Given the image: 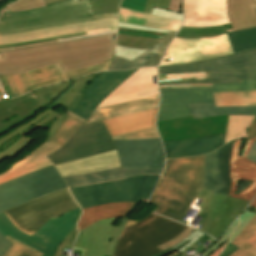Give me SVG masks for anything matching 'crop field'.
Instances as JSON below:
<instances>
[{"instance_id":"crop-field-1","label":"crop field","mask_w":256,"mask_h":256,"mask_svg":"<svg viewBox=\"0 0 256 256\" xmlns=\"http://www.w3.org/2000/svg\"><path fill=\"white\" fill-rule=\"evenodd\" d=\"M233 142L205 156L167 160L150 201L158 205L154 212L180 221L201 189L228 196Z\"/></svg>"},{"instance_id":"crop-field-2","label":"crop field","mask_w":256,"mask_h":256,"mask_svg":"<svg viewBox=\"0 0 256 256\" xmlns=\"http://www.w3.org/2000/svg\"><path fill=\"white\" fill-rule=\"evenodd\" d=\"M116 34L0 52V75L58 63L62 72L113 59Z\"/></svg>"},{"instance_id":"crop-field-3","label":"crop field","mask_w":256,"mask_h":256,"mask_svg":"<svg viewBox=\"0 0 256 256\" xmlns=\"http://www.w3.org/2000/svg\"><path fill=\"white\" fill-rule=\"evenodd\" d=\"M58 148L44 142L7 173L0 175V212L67 187L46 157Z\"/></svg>"},{"instance_id":"crop-field-4","label":"crop field","mask_w":256,"mask_h":256,"mask_svg":"<svg viewBox=\"0 0 256 256\" xmlns=\"http://www.w3.org/2000/svg\"><path fill=\"white\" fill-rule=\"evenodd\" d=\"M115 17L118 13L93 15L89 0H68L33 11L4 13L0 18V35Z\"/></svg>"},{"instance_id":"crop-field-5","label":"crop field","mask_w":256,"mask_h":256,"mask_svg":"<svg viewBox=\"0 0 256 256\" xmlns=\"http://www.w3.org/2000/svg\"><path fill=\"white\" fill-rule=\"evenodd\" d=\"M186 228L154 213L139 222L129 220L119 237L115 256H152L162 251L160 244L176 237Z\"/></svg>"},{"instance_id":"crop-field-6","label":"crop field","mask_w":256,"mask_h":256,"mask_svg":"<svg viewBox=\"0 0 256 256\" xmlns=\"http://www.w3.org/2000/svg\"><path fill=\"white\" fill-rule=\"evenodd\" d=\"M159 176H133L128 179L91 186L70 188L81 208L110 202H136L123 217H127L139 202H147Z\"/></svg>"},{"instance_id":"crop-field-7","label":"crop field","mask_w":256,"mask_h":256,"mask_svg":"<svg viewBox=\"0 0 256 256\" xmlns=\"http://www.w3.org/2000/svg\"><path fill=\"white\" fill-rule=\"evenodd\" d=\"M204 70H207L210 80L159 85L240 83V80L256 79V50L191 64L159 67L158 74Z\"/></svg>"},{"instance_id":"crop-field-8","label":"crop field","mask_w":256,"mask_h":256,"mask_svg":"<svg viewBox=\"0 0 256 256\" xmlns=\"http://www.w3.org/2000/svg\"><path fill=\"white\" fill-rule=\"evenodd\" d=\"M78 207L68 189H65L4 213L16 227L33 236L52 217L56 219Z\"/></svg>"},{"instance_id":"crop-field-9","label":"crop field","mask_w":256,"mask_h":256,"mask_svg":"<svg viewBox=\"0 0 256 256\" xmlns=\"http://www.w3.org/2000/svg\"><path fill=\"white\" fill-rule=\"evenodd\" d=\"M250 90H256V80L241 81V84H214L213 88L160 89L157 121L192 115L188 104L212 102L213 92Z\"/></svg>"},{"instance_id":"crop-field-10","label":"crop field","mask_w":256,"mask_h":256,"mask_svg":"<svg viewBox=\"0 0 256 256\" xmlns=\"http://www.w3.org/2000/svg\"><path fill=\"white\" fill-rule=\"evenodd\" d=\"M81 215L78 208L68 212L57 220L51 219L33 237L16 228L4 213L0 214V233L19 240L43 253V256H52L59 243L77 226L76 223Z\"/></svg>"},{"instance_id":"crop-field-11","label":"crop field","mask_w":256,"mask_h":256,"mask_svg":"<svg viewBox=\"0 0 256 256\" xmlns=\"http://www.w3.org/2000/svg\"><path fill=\"white\" fill-rule=\"evenodd\" d=\"M103 121L81 126L69 141L48 156L56 165L115 150Z\"/></svg>"},{"instance_id":"crop-field-12","label":"crop field","mask_w":256,"mask_h":256,"mask_svg":"<svg viewBox=\"0 0 256 256\" xmlns=\"http://www.w3.org/2000/svg\"><path fill=\"white\" fill-rule=\"evenodd\" d=\"M196 198L203 200L199 205L201 210L198 213V216L204 217L201 224L205 226L203 227L202 231L211 234L214 238H218L220 235H222L229 227V225L238 218L241 212L249 204L248 201H243L203 190H201ZM191 205L189 206L183 218L188 213ZM217 215L221 216L218 221L215 220ZM183 218L180 222L187 224V222L182 221Z\"/></svg>"},{"instance_id":"crop-field-13","label":"crop field","mask_w":256,"mask_h":256,"mask_svg":"<svg viewBox=\"0 0 256 256\" xmlns=\"http://www.w3.org/2000/svg\"><path fill=\"white\" fill-rule=\"evenodd\" d=\"M117 24L118 18H115L103 21L0 36V48L78 35L85 36L95 34L96 36H100L106 34H113L117 31Z\"/></svg>"},{"instance_id":"crop-field-14","label":"crop field","mask_w":256,"mask_h":256,"mask_svg":"<svg viewBox=\"0 0 256 256\" xmlns=\"http://www.w3.org/2000/svg\"><path fill=\"white\" fill-rule=\"evenodd\" d=\"M229 54H232V51L226 34L210 38H174L164 58L173 61L160 64L161 66L183 64Z\"/></svg>"},{"instance_id":"crop-field-15","label":"crop field","mask_w":256,"mask_h":256,"mask_svg":"<svg viewBox=\"0 0 256 256\" xmlns=\"http://www.w3.org/2000/svg\"><path fill=\"white\" fill-rule=\"evenodd\" d=\"M158 102L159 95L99 108L95 110V112L90 116L87 121L71 113L62 124V126L54 134V136L51 138L49 143L61 147L67 142V140L76 132V130L81 125L155 109L157 108Z\"/></svg>"},{"instance_id":"crop-field-16","label":"crop field","mask_w":256,"mask_h":256,"mask_svg":"<svg viewBox=\"0 0 256 256\" xmlns=\"http://www.w3.org/2000/svg\"><path fill=\"white\" fill-rule=\"evenodd\" d=\"M228 116H213L193 120L192 116L157 122L162 141L186 140L222 134Z\"/></svg>"},{"instance_id":"crop-field-17","label":"crop field","mask_w":256,"mask_h":256,"mask_svg":"<svg viewBox=\"0 0 256 256\" xmlns=\"http://www.w3.org/2000/svg\"><path fill=\"white\" fill-rule=\"evenodd\" d=\"M117 219L102 220L79 231L74 247L86 249L85 256H114L116 243L129 220L124 218L118 227L112 226Z\"/></svg>"},{"instance_id":"crop-field-18","label":"crop field","mask_w":256,"mask_h":256,"mask_svg":"<svg viewBox=\"0 0 256 256\" xmlns=\"http://www.w3.org/2000/svg\"><path fill=\"white\" fill-rule=\"evenodd\" d=\"M24 125L16 128L0 139V161L11 158L24 148L32 139L24 137L35 128H49L46 141L48 142L56 130L61 126L70 112L57 114L49 107Z\"/></svg>"},{"instance_id":"crop-field-19","label":"crop field","mask_w":256,"mask_h":256,"mask_svg":"<svg viewBox=\"0 0 256 256\" xmlns=\"http://www.w3.org/2000/svg\"><path fill=\"white\" fill-rule=\"evenodd\" d=\"M121 167H164L159 138L114 140Z\"/></svg>"},{"instance_id":"crop-field-20","label":"crop field","mask_w":256,"mask_h":256,"mask_svg":"<svg viewBox=\"0 0 256 256\" xmlns=\"http://www.w3.org/2000/svg\"><path fill=\"white\" fill-rule=\"evenodd\" d=\"M255 137L248 140L243 157L239 156L242 139L235 140L234 142L230 160L231 197L251 201L256 195V164L245 158Z\"/></svg>"},{"instance_id":"crop-field-21","label":"crop field","mask_w":256,"mask_h":256,"mask_svg":"<svg viewBox=\"0 0 256 256\" xmlns=\"http://www.w3.org/2000/svg\"><path fill=\"white\" fill-rule=\"evenodd\" d=\"M137 70L101 72L89 84L80 104L73 113L87 120L96 107Z\"/></svg>"},{"instance_id":"crop-field-22","label":"crop field","mask_w":256,"mask_h":256,"mask_svg":"<svg viewBox=\"0 0 256 256\" xmlns=\"http://www.w3.org/2000/svg\"><path fill=\"white\" fill-rule=\"evenodd\" d=\"M156 69L140 68L97 108L159 94Z\"/></svg>"},{"instance_id":"crop-field-23","label":"crop field","mask_w":256,"mask_h":256,"mask_svg":"<svg viewBox=\"0 0 256 256\" xmlns=\"http://www.w3.org/2000/svg\"><path fill=\"white\" fill-rule=\"evenodd\" d=\"M183 11L184 26L210 27L228 25L226 0H185Z\"/></svg>"},{"instance_id":"crop-field-24","label":"crop field","mask_w":256,"mask_h":256,"mask_svg":"<svg viewBox=\"0 0 256 256\" xmlns=\"http://www.w3.org/2000/svg\"><path fill=\"white\" fill-rule=\"evenodd\" d=\"M47 107L31 93L0 101V134L8 131L41 108Z\"/></svg>"},{"instance_id":"crop-field-25","label":"crop field","mask_w":256,"mask_h":256,"mask_svg":"<svg viewBox=\"0 0 256 256\" xmlns=\"http://www.w3.org/2000/svg\"><path fill=\"white\" fill-rule=\"evenodd\" d=\"M165 48V46L157 43L132 62L115 56V58L112 61H108L103 64L94 65L75 71L65 72L64 75L66 76L67 80H69L97 71L124 70L145 66H157L163 57Z\"/></svg>"},{"instance_id":"crop-field-26","label":"crop field","mask_w":256,"mask_h":256,"mask_svg":"<svg viewBox=\"0 0 256 256\" xmlns=\"http://www.w3.org/2000/svg\"><path fill=\"white\" fill-rule=\"evenodd\" d=\"M99 73L73 80L75 83L70 88V90L65 95H63L61 99L59 98L60 100L52 105L50 108L54 109L56 107L62 106L66 108V110L72 112L73 109L79 104L87 85ZM71 82L72 81L45 87L31 93H33L43 103L48 105L53 99L59 96L69 86Z\"/></svg>"},{"instance_id":"crop-field-27","label":"crop field","mask_w":256,"mask_h":256,"mask_svg":"<svg viewBox=\"0 0 256 256\" xmlns=\"http://www.w3.org/2000/svg\"><path fill=\"white\" fill-rule=\"evenodd\" d=\"M224 135L186 141L163 142L167 158L188 157L213 151L223 145Z\"/></svg>"},{"instance_id":"crop-field-28","label":"crop field","mask_w":256,"mask_h":256,"mask_svg":"<svg viewBox=\"0 0 256 256\" xmlns=\"http://www.w3.org/2000/svg\"><path fill=\"white\" fill-rule=\"evenodd\" d=\"M164 169V168H163ZM162 168H117L63 177L68 187L122 179L134 174H160Z\"/></svg>"},{"instance_id":"crop-field-29","label":"crop field","mask_w":256,"mask_h":256,"mask_svg":"<svg viewBox=\"0 0 256 256\" xmlns=\"http://www.w3.org/2000/svg\"><path fill=\"white\" fill-rule=\"evenodd\" d=\"M14 77L21 95L35 88L66 81L58 64L30 70Z\"/></svg>"},{"instance_id":"crop-field-30","label":"crop field","mask_w":256,"mask_h":256,"mask_svg":"<svg viewBox=\"0 0 256 256\" xmlns=\"http://www.w3.org/2000/svg\"><path fill=\"white\" fill-rule=\"evenodd\" d=\"M120 167L116 151L57 165L62 176Z\"/></svg>"},{"instance_id":"crop-field-31","label":"crop field","mask_w":256,"mask_h":256,"mask_svg":"<svg viewBox=\"0 0 256 256\" xmlns=\"http://www.w3.org/2000/svg\"><path fill=\"white\" fill-rule=\"evenodd\" d=\"M156 112L157 109L105 120L104 123L111 136L122 135L155 127Z\"/></svg>"},{"instance_id":"crop-field-32","label":"crop field","mask_w":256,"mask_h":256,"mask_svg":"<svg viewBox=\"0 0 256 256\" xmlns=\"http://www.w3.org/2000/svg\"><path fill=\"white\" fill-rule=\"evenodd\" d=\"M119 22L174 31H178L183 23L181 21L148 15L122 8H120Z\"/></svg>"},{"instance_id":"crop-field-33","label":"crop field","mask_w":256,"mask_h":256,"mask_svg":"<svg viewBox=\"0 0 256 256\" xmlns=\"http://www.w3.org/2000/svg\"><path fill=\"white\" fill-rule=\"evenodd\" d=\"M134 203H110L94 206L83 210V215L78 223L81 230L99 220L110 217H122Z\"/></svg>"},{"instance_id":"crop-field-34","label":"crop field","mask_w":256,"mask_h":256,"mask_svg":"<svg viewBox=\"0 0 256 256\" xmlns=\"http://www.w3.org/2000/svg\"><path fill=\"white\" fill-rule=\"evenodd\" d=\"M189 106L194 119L213 115H256V106L215 108L214 102Z\"/></svg>"},{"instance_id":"crop-field-35","label":"crop field","mask_w":256,"mask_h":256,"mask_svg":"<svg viewBox=\"0 0 256 256\" xmlns=\"http://www.w3.org/2000/svg\"><path fill=\"white\" fill-rule=\"evenodd\" d=\"M244 233H246V235H244ZM232 244L241 249L231 256H256V216Z\"/></svg>"},{"instance_id":"crop-field-36","label":"crop field","mask_w":256,"mask_h":256,"mask_svg":"<svg viewBox=\"0 0 256 256\" xmlns=\"http://www.w3.org/2000/svg\"><path fill=\"white\" fill-rule=\"evenodd\" d=\"M216 107L256 105V91L214 93Z\"/></svg>"},{"instance_id":"crop-field-37","label":"crop field","mask_w":256,"mask_h":256,"mask_svg":"<svg viewBox=\"0 0 256 256\" xmlns=\"http://www.w3.org/2000/svg\"><path fill=\"white\" fill-rule=\"evenodd\" d=\"M233 53L256 47V28L233 32L226 29ZM253 43V45H251Z\"/></svg>"},{"instance_id":"crop-field-38","label":"crop field","mask_w":256,"mask_h":256,"mask_svg":"<svg viewBox=\"0 0 256 256\" xmlns=\"http://www.w3.org/2000/svg\"><path fill=\"white\" fill-rule=\"evenodd\" d=\"M255 116H229L225 143L236 138H247V130Z\"/></svg>"},{"instance_id":"crop-field-39","label":"crop field","mask_w":256,"mask_h":256,"mask_svg":"<svg viewBox=\"0 0 256 256\" xmlns=\"http://www.w3.org/2000/svg\"><path fill=\"white\" fill-rule=\"evenodd\" d=\"M231 26L234 31L256 27V10L247 9L228 13Z\"/></svg>"},{"instance_id":"crop-field-40","label":"crop field","mask_w":256,"mask_h":256,"mask_svg":"<svg viewBox=\"0 0 256 256\" xmlns=\"http://www.w3.org/2000/svg\"><path fill=\"white\" fill-rule=\"evenodd\" d=\"M170 0H123L122 8L150 14L152 7L168 9Z\"/></svg>"},{"instance_id":"crop-field-41","label":"crop field","mask_w":256,"mask_h":256,"mask_svg":"<svg viewBox=\"0 0 256 256\" xmlns=\"http://www.w3.org/2000/svg\"><path fill=\"white\" fill-rule=\"evenodd\" d=\"M223 33H225L224 26L210 27V28L183 27L176 37H182V38L210 37V36H215Z\"/></svg>"},{"instance_id":"crop-field-42","label":"crop field","mask_w":256,"mask_h":256,"mask_svg":"<svg viewBox=\"0 0 256 256\" xmlns=\"http://www.w3.org/2000/svg\"><path fill=\"white\" fill-rule=\"evenodd\" d=\"M157 41V39L118 34L116 45L147 50L148 48L156 44Z\"/></svg>"},{"instance_id":"crop-field-43","label":"crop field","mask_w":256,"mask_h":256,"mask_svg":"<svg viewBox=\"0 0 256 256\" xmlns=\"http://www.w3.org/2000/svg\"><path fill=\"white\" fill-rule=\"evenodd\" d=\"M209 79L207 72H195V73H180V74H165L158 75V82H178V81H190V80H203Z\"/></svg>"},{"instance_id":"crop-field-44","label":"crop field","mask_w":256,"mask_h":256,"mask_svg":"<svg viewBox=\"0 0 256 256\" xmlns=\"http://www.w3.org/2000/svg\"><path fill=\"white\" fill-rule=\"evenodd\" d=\"M63 0H20L9 7L5 12L27 11L36 8L45 7L46 5L57 3Z\"/></svg>"},{"instance_id":"crop-field-45","label":"crop field","mask_w":256,"mask_h":256,"mask_svg":"<svg viewBox=\"0 0 256 256\" xmlns=\"http://www.w3.org/2000/svg\"><path fill=\"white\" fill-rule=\"evenodd\" d=\"M93 14L118 12L121 0H90Z\"/></svg>"},{"instance_id":"crop-field-46","label":"crop field","mask_w":256,"mask_h":256,"mask_svg":"<svg viewBox=\"0 0 256 256\" xmlns=\"http://www.w3.org/2000/svg\"><path fill=\"white\" fill-rule=\"evenodd\" d=\"M3 88L9 98L20 95L14 81L13 75L0 76Z\"/></svg>"},{"instance_id":"crop-field-47","label":"crop field","mask_w":256,"mask_h":256,"mask_svg":"<svg viewBox=\"0 0 256 256\" xmlns=\"http://www.w3.org/2000/svg\"><path fill=\"white\" fill-rule=\"evenodd\" d=\"M256 7L255 0H227V11H236Z\"/></svg>"},{"instance_id":"crop-field-48","label":"crop field","mask_w":256,"mask_h":256,"mask_svg":"<svg viewBox=\"0 0 256 256\" xmlns=\"http://www.w3.org/2000/svg\"><path fill=\"white\" fill-rule=\"evenodd\" d=\"M6 239H8L14 245L8 250V252L4 256H18L24 248H26V249H28V250L38 254L39 256L43 255V253H41L39 251H36V250H34V249H32V248H30V247H28V246L18 242V241L10 238L9 236L6 237Z\"/></svg>"},{"instance_id":"crop-field-49","label":"crop field","mask_w":256,"mask_h":256,"mask_svg":"<svg viewBox=\"0 0 256 256\" xmlns=\"http://www.w3.org/2000/svg\"><path fill=\"white\" fill-rule=\"evenodd\" d=\"M153 137H159L156 128L146 129V130H142V131H138V132L122 135V136H116L112 138L123 139V138H153Z\"/></svg>"},{"instance_id":"crop-field-50","label":"crop field","mask_w":256,"mask_h":256,"mask_svg":"<svg viewBox=\"0 0 256 256\" xmlns=\"http://www.w3.org/2000/svg\"><path fill=\"white\" fill-rule=\"evenodd\" d=\"M143 52L144 50L116 46L115 55L132 61Z\"/></svg>"},{"instance_id":"crop-field-51","label":"crop field","mask_w":256,"mask_h":256,"mask_svg":"<svg viewBox=\"0 0 256 256\" xmlns=\"http://www.w3.org/2000/svg\"><path fill=\"white\" fill-rule=\"evenodd\" d=\"M251 212V211H250ZM245 210V212L239 217L241 222L238 225V227L235 229V231L231 234L229 243H231L238 235L239 233L245 228V226L251 221V219L255 216V214L250 213Z\"/></svg>"},{"instance_id":"crop-field-52","label":"crop field","mask_w":256,"mask_h":256,"mask_svg":"<svg viewBox=\"0 0 256 256\" xmlns=\"http://www.w3.org/2000/svg\"><path fill=\"white\" fill-rule=\"evenodd\" d=\"M239 223V220H236L228 229V231L221 237V239L215 244L213 245L211 248H209L207 251L203 252L202 256H209L211 253H213L217 248H219L223 243H225L228 239V236L230 235V233L232 232V230L237 226V224Z\"/></svg>"},{"instance_id":"crop-field-53","label":"crop field","mask_w":256,"mask_h":256,"mask_svg":"<svg viewBox=\"0 0 256 256\" xmlns=\"http://www.w3.org/2000/svg\"><path fill=\"white\" fill-rule=\"evenodd\" d=\"M93 36L94 35L86 36V37L78 36V37H72V38H66V39H60V40H53V41H47V42H41V43H35V44H28V45H22V46H16V47H9V48L0 49V51L12 50V49H20V48H26V47H33V46H39V45H45V44H51V43H57V42H63V41L82 39V38H89V37H93Z\"/></svg>"},{"instance_id":"crop-field-54","label":"crop field","mask_w":256,"mask_h":256,"mask_svg":"<svg viewBox=\"0 0 256 256\" xmlns=\"http://www.w3.org/2000/svg\"><path fill=\"white\" fill-rule=\"evenodd\" d=\"M193 231H195V229H191V228H187L183 233H181L180 235H178L176 238H174L173 240H170L162 245H160L162 247L163 250L177 244L178 242H180L181 240H183L185 237H187L189 234H191Z\"/></svg>"},{"instance_id":"crop-field-55","label":"crop field","mask_w":256,"mask_h":256,"mask_svg":"<svg viewBox=\"0 0 256 256\" xmlns=\"http://www.w3.org/2000/svg\"><path fill=\"white\" fill-rule=\"evenodd\" d=\"M151 14L183 21V14H178L163 9L154 8Z\"/></svg>"},{"instance_id":"crop-field-56","label":"crop field","mask_w":256,"mask_h":256,"mask_svg":"<svg viewBox=\"0 0 256 256\" xmlns=\"http://www.w3.org/2000/svg\"><path fill=\"white\" fill-rule=\"evenodd\" d=\"M76 234H77V227L65 238L63 242H61L54 256H60L59 253L62 246L72 247L76 238Z\"/></svg>"},{"instance_id":"crop-field-57","label":"crop field","mask_w":256,"mask_h":256,"mask_svg":"<svg viewBox=\"0 0 256 256\" xmlns=\"http://www.w3.org/2000/svg\"><path fill=\"white\" fill-rule=\"evenodd\" d=\"M12 245L0 234V256H3Z\"/></svg>"},{"instance_id":"crop-field-58","label":"crop field","mask_w":256,"mask_h":256,"mask_svg":"<svg viewBox=\"0 0 256 256\" xmlns=\"http://www.w3.org/2000/svg\"><path fill=\"white\" fill-rule=\"evenodd\" d=\"M119 27L138 28V29L151 30V31L163 32V33H167L168 32L166 30H160V29H154V28L130 25V24H122V23H119Z\"/></svg>"},{"instance_id":"crop-field-59","label":"crop field","mask_w":256,"mask_h":256,"mask_svg":"<svg viewBox=\"0 0 256 256\" xmlns=\"http://www.w3.org/2000/svg\"><path fill=\"white\" fill-rule=\"evenodd\" d=\"M181 5H182V0H171L170 7L168 10L179 13L181 9Z\"/></svg>"},{"instance_id":"crop-field-60","label":"crop field","mask_w":256,"mask_h":256,"mask_svg":"<svg viewBox=\"0 0 256 256\" xmlns=\"http://www.w3.org/2000/svg\"><path fill=\"white\" fill-rule=\"evenodd\" d=\"M238 249L240 248L228 243L226 249L223 251V253L220 256H230L231 254L236 252Z\"/></svg>"},{"instance_id":"crop-field-61","label":"crop field","mask_w":256,"mask_h":256,"mask_svg":"<svg viewBox=\"0 0 256 256\" xmlns=\"http://www.w3.org/2000/svg\"><path fill=\"white\" fill-rule=\"evenodd\" d=\"M176 34V32L174 31H169L162 40H160L158 43L163 44L165 46L168 45V43L170 42V40L174 37V35Z\"/></svg>"},{"instance_id":"crop-field-62","label":"crop field","mask_w":256,"mask_h":256,"mask_svg":"<svg viewBox=\"0 0 256 256\" xmlns=\"http://www.w3.org/2000/svg\"><path fill=\"white\" fill-rule=\"evenodd\" d=\"M248 159H250L251 161L255 162L256 163V139L247 155Z\"/></svg>"},{"instance_id":"crop-field-63","label":"crop field","mask_w":256,"mask_h":256,"mask_svg":"<svg viewBox=\"0 0 256 256\" xmlns=\"http://www.w3.org/2000/svg\"><path fill=\"white\" fill-rule=\"evenodd\" d=\"M160 88H188V87H212V85H180V86H159Z\"/></svg>"},{"instance_id":"crop-field-64","label":"crop field","mask_w":256,"mask_h":256,"mask_svg":"<svg viewBox=\"0 0 256 256\" xmlns=\"http://www.w3.org/2000/svg\"><path fill=\"white\" fill-rule=\"evenodd\" d=\"M254 135H256V118L253 121L250 129L248 130V138H250V137H252Z\"/></svg>"},{"instance_id":"crop-field-65","label":"crop field","mask_w":256,"mask_h":256,"mask_svg":"<svg viewBox=\"0 0 256 256\" xmlns=\"http://www.w3.org/2000/svg\"><path fill=\"white\" fill-rule=\"evenodd\" d=\"M227 243V242H226ZM226 243L223 244L219 249H217L213 254L210 256H218V254L223 250V248L226 246Z\"/></svg>"},{"instance_id":"crop-field-66","label":"crop field","mask_w":256,"mask_h":256,"mask_svg":"<svg viewBox=\"0 0 256 256\" xmlns=\"http://www.w3.org/2000/svg\"><path fill=\"white\" fill-rule=\"evenodd\" d=\"M19 256H37V255H35V254H33V253L24 249Z\"/></svg>"},{"instance_id":"crop-field-67","label":"crop field","mask_w":256,"mask_h":256,"mask_svg":"<svg viewBox=\"0 0 256 256\" xmlns=\"http://www.w3.org/2000/svg\"><path fill=\"white\" fill-rule=\"evenodd\" d=\"M250 205L256 208V198L252 201Z\"/></svg>"},{"instance_id":"crop-field-68","label":"crop field","mask_w":256,"mask_h":256,"mask_svg":"<svg viewBox=\"0 0 256 256\" xmlns=\"http://www.w3.org/2000/svg\"><path fill=\"white\" fill-rule=\"evenodd\" d=\"M254 213H256V210L255 211H253Z\"/></svg>"},{"instance_id":"crop-field-69","label":"crop field","mask_w":256,"mask_h":256,"mask_svg":"<svg viewBox=\"0 0 256 256\" xmlns=\"http://www.w3.org/2000/svg\"><path fill=\"white\" fill-rule=\"evenodd\" d=\"M0 15H1V12H0Z\"/></svg>"},{"instance_id":"crop-field-70","label":"crop field","mask_w":256,"mask_h":256,"mask_svg":"<svg viewBox=\"0 0 256 256\" xmlns=\"http://www.w3.org/2000/svg\"><path fill=\"white\" fill-rule=\"evenodd\" d=\"M1 99V98H0Z\"/></svg>"}]
</instances>
